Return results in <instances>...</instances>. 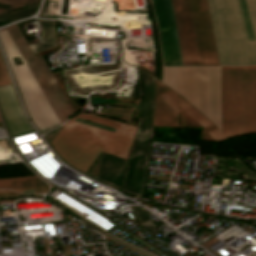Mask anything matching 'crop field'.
I'll list each match as a JSON object with an SVG mask.
<instances>
[{
  "mask_svg": "<svg viewBox=\"0 0 256 256\" xmlns=\"http://www.w3.org/2000/svg\"><path fill=\"white\" fill-rule=\"evenodd\" d=\"M77 117L115 127L117 130L113 133L73 121ZM63 127L103 152L122 161H126L135 128L84 113L69 119ZM64 128L50 144L66 162L86 173L102 151Z\"/></svg>",
  "mask_w": 256,
  "mask_h": 256,
  "instance_id": "8a807250",
  "label": "crop field"
},
{
  "mask_svg": "<svg viewBox=\"0 0 256 256\" xmlns=\"http://www.w3.org/2000/svg\"><path fill=\"white\" fill-rule=\"evenodd\" d=\"M256 38V0H246ZM221 65H256V41L247 42L238 0H209Z\"/></svg>",
  "mask_w": 256,
  "mask_h": 256,
  "instance_id": "ac0d7876",
  "label": "crop field"
},
{
  "mask_svg": "<svg viewBox=\"0 0 256 256\" xmlns=\"http://www.w3.org/2000/svg\"><path fill=\"white\" fill-rule=\"evenodd\" d=\"M256 132V66L223 67V133Z\"/></svg>",
  "mask_w": 256,
  "mask_h": 256,
  "instance_id": "34b2d1b8",
  "label": "crop field"
},
{
  "mask_svg": "<svg viewBox=\"0 0 256 256\" xmlns=\"http://www.w3.org/2000/svg\"><path fill=\"white\" fill-rule=\"evenodd\" d=\"M202 65H219L206 0H189ZM188 0H171L184 65H201Z\"/></svg>",
  "mask_w": 256,
  "mask_h": 256,
  "instance_id": "412701ff",
  "label": "crop field"
},
{
  "mask_svg": "<svg viewBox=\"0 0 256 256\" xmlns=\"http://www.w3.org/2000/svg\"><path fill=\"white\" fill-rule=\"evenodd\" d=\"M163 82L198 107L221 130V67H164Z\"/></svg>",
  "mask_w": 256,
  "mask_h": 256,
  "instance_id": "f4fd0767",
  "label": "crop field"
},
{
  "mask_svg": "<svg viewBox=\"0 0 256 256\" xmlns=\"http://www.w3.org/2000/svg\"><path fill=\"white\" fill-rule=\"evenodd\" d=\"M154 84L155 79L140 69L137 131L121 189L134 196H141L144 190L152 131Z\"/></svg>",
  "mask_w": 256,
  "mask_h": 256,
  "instance_id": "dd49c442",
  "label": "crop field"
},
{
  "mask_svg": "<svg viewBox=\"0 0 256 256\" xmlns=\"http://www.w3.org/2000/svg\"><path fill=\"white\" fill-rule=\"evenodd\" d=\"M153 125L176 126L177 93L156 80ZM179 106L199 122L213 140H224L214 124L179 97Z\"/></svg>",
  "mask_w": 256,
  "mask_h": 256,
  "instance_id": "e52e79f7",
  "label": "crop field"
},
{
  "mask_svg": "<svg viewBox=\"0 0 256 256\" xmlns=\"http://www.w3.org/2000/svg\"><path fill=\"white\" fill-rule=\"evenodd\" d=\"M0 107L12 135L32 130L25 119L11 85L0 87Z\"/></svg>",
  "mask_w": 256,
  "mask_h": 256,
  "instance_id": "d8731c3e",
  "label": "crop field"
},
{
  "mask_svg": "<svg viewBox=\"0 0 256 256\" xmlns=\"http://www.w3.org/2000/svg\"><path fill=\"white\" fill-rule=\"evenodd\" d=\"M38 20L42 29V36H41V42L30 44V47L33 53L40 52L57 45L55 42L54 31H53L54 20H46V19H38Z\"/></svg>",
  "mask_w": 256,
  "mask_h": 256,
  "instance_id": "5a996713",
  "label": "crop field"
},
{
  "mask_svg": "<svg viewBox=\"0 0 256 256\" xmlns=\"http://www.w3.org/2000/svg\"><path fill=\"white\" fill-rule=\"evenodd\" d=\"M38 178L36 176H30L12 179H0V188H17L46 184Z\"/></svg>",
  "mask_w": 256,
  "mask_h": 256,
  "instance_id": "3316defc",
  "label": "crop field"
},
{
  "mask_svg": "<svg viewBox=\"0 0 256 256\" xmlns=\"http://www.w3.org/2000/svg\"><path fill=\"white\" fill-rule=\"evenodd\" d=\"M131 210L133 211L135 217L141 224L142 228L148 231L150 234H155L158 232L157 228L155 225L149 220V218L144 214L142 209L136 207V206H131Z\"/></svg>",
  "mask_w": 256,
  "mask_h": 256,
  "instance_id": "28ad6ade",
  "label": "crop field"
},
{
  "mask_svg": "<svg viewBox=\"0 0 256 256\" xmlns=\"http://www.w3.org/2000/svg\"><path fill=\"white\" fill-rule=\"evenodd\" d=\"M240 8H241V13L243 17V22L246 30V35L248 41H253L255 40L252 26H251V21L248 13V8L245 0H239Z\"/></svg>",
  "mask_w": 256,
  "mask_h": 256,
  "instance_id": "d1516ede",
  "label": "crop field"
},
{
  "mask_svg": "<svg viewBox=\"0 0 256 256\" xmlns=\"http://www.w3.org/2000/svg\"><path fill=\"white\" fill-rule=\"evenodd\" d=\"M1 57H0V85H4V84H9L11 82L9 80L8 74L6 72V69Z\"/></svg>",
  "mask_w": 256,
  "mask_h": 256,
  "instance_id": "22f410ed",
  "label": "crop field"
},
{
  "mask_svg": "<svg viewBox=\"0 0 256 256\" xmlns=\"http://www.w3.org/2000/svg\"><path fill=\"white\" fill-rule=\"evenodd\" d=\"M29 189H36L35 193L47 192L48 191V185L28 187V188H18V189H13V190L23 194L22 190H29Z\"/></svg>",
  "mask_w": 256,
  "mask_h": 256,
  "instance_id": "cbeb9de0",
  "label": "crop field"
},
{
  "mask_svg": "<svg viewBox=\"0 0 256 256\" xmlns=\"http://www.w3.org/2000/svg\"><path fill=\"white\" fill-rule=\"evenodd\" d=\"M18 195L11 190H0V196Z\"/></svg>",
  "mask_w": 256,
  "mask_h": 256,
  "instance_id": "5142ce71",
  "label": "crop field"
}]
</instances>
